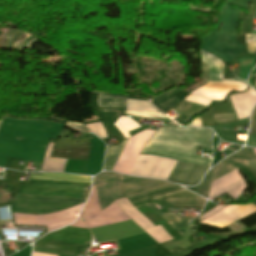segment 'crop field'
Instances as JSON below:
<instances>
[{"label": "crop field", "mask_w": 256, "mask_h": 256, "mask_svg": "<svg viewBox=\"0 0 256 256\" xmlns=\"http://www.w3.org/2000/svg\"><path fill=\"white\" fill-rule=\"evenodd\" d=\"M168 182L164 181H156V180H148V179H140L134 177H128L121 175V192L122 197H128L142 191L160 186ZM92 185H96L97 193L101 205V209H105L109 204L113 201L120 199V175L112 172H103L97 174L94 179ZM184 188L168 183L162 185L160 187L142 192L140 194L125 198L129 203L136 204L154 197L166 195L172 192H176L179 190H183ZM187 198H200L186 190L179 191L173 194H169L163 197L155 198L153 200H172V199H187ZM124 199H120L115 201L117 205L124 211V213L132 219L139 227H141L144 231L155 226L149 220H147L143 215H141L137 210H135L128 202ZM167 206L174 207H204L206 200L204 199H188V200H172L166 201ZM150 208H152L155 212H157L160 216H162L167 222L173 221L174 224L180 228L185 226L184 221L179 218L177 215L172 213H162L158 209L163 206H157L156 204H148ZM157 206V208L155 207ZM175 231L179 232L182 236L183 233L172 224V222L168 223Z\"/></svg>", "instance_id": "obj_1"}, {"label": "crop field", "mask_w": 256, "mask_h": 256, "mask_svg": "<svg viewBox=\"0 0 256 256\" xmlns=\"http://www.w3.org/2000/svg\"><path fill=\"white\" fill-rule=\"evenodd\" d=\"M213 131L209 129L160 127L145 144L141 154L168 157L184 162L210 165L196 156L197 147L211 148Z\"/></svg>", "instance_id": "obj_2"}, {"label": "crop field", "mask_w": 256, "mask_h": 256, "mask_svg": "<svg viewBox=\"0 0 256 256\" xmlns=\"http://www.w3.org/2000/svg\"><path fill=\"white\" fill-rule=\"evenodd\" d=\"M127 141L106 149L104 170H112ZM175 163L167 158L139 155L130 175L166 180ZM207 169V166L177 161L167 180L193 186L199 183Z\"/></svg>", "instance_id": "obj_3"}, {"label": "crop field", "mask_w": 256, "mask_h": 256, "mask_svg": "<svg viewBox=\"0 0 256 256\" xmlns=\"http://www.w3.org/2000/svg\"><path fill=\"white\" fill-rule=\"evenodd\" d=\"M88 229L66 227L46 234L34 243L33 251L59 256H77L75 245L90 246Z\"/></svg>", "instance_id": "obj_4"}, {"label": "crop field", "mask_w": 256, "mask_h": 256, "mask_svg": "<svg viewBox=\"0 0 256 256\" xmlns=\"http://www.w3.org/2000/svg\"><path fill=\"white\" fill-rule=\"evenodd\" d=\"M201 53L202 61L207 63L210 67V77L208 81H224L222 80V62L207 52L201 50ZM248 86L249 85L243 81L208 82V84L192 92L191 94L202 96L211 100H223L224 96L228 94L231 90L244 91Z\"/></svg>", "instance_id": "obj_5"}, {"label": "crop field", "mask_w": 256, "mask_h": 256, "mask_svg": "<svg viewBox=\"0 0 256 256\" xmlns=\"http://www.w3.org/2000/svg\"><path fill=\"white\" fill-rule=\"evenodd\" d=\"M239 167H249V166L246 161L227 160L221 163L219 167L215 168L213 179L218 178ZM243 182L245 181L240 175V173L238 172V170L230 172L219 179L213 180L211 191L209 194V199L213 200L216 197L226 193L227 191L239 186ZM246 187H247V184L245 182L239 187L228 192V194L235 200L246 189Z\"/></svg>", "instance_id": "obj_6"}, {"label": "crop field", "mask_w": 256, "mask_h": 256, "mask_svg": "<svg viewBox=\"0 0 256 256\" xmlns=\"http://www.w3.org/2000/svg\"><path fill=\"white\" fill-rule=\"evenodd\" d=\"M89 190L90 184L31 179L17 193L86 199Z\"/></svg>", "instance_id": "obj_7"}, {"label": "crop field", "mask_w": 256, "mask_h": 256, "mask_svg": "<svg viewBox=\"0 0 256 256\" xmlns=\"http://www.w3.org/2000/svg\"><path fill=\"white\" fill-rule=\"evenodd\" d=\"M81 202H85V200L17 194L13 203L72 206ZM65 208L67 207L13 204L12 212L47 214Z\"/></svg>", "instance_id": "obj_8"}, {"label": "crop field", "mask_w": 256, "mask_h": 256, "mask_svg": "<svg viewBox=\"0 0 256 256\" xmlns=\"http://www.w3.org/2000/svg\"><path fill=\"white\" fill-rule=\"evenodd\" d=\"M83 217L89 229L129 220L115 203L101 212L95 186L83 209Z\"/></svg>", "instance_id": "obj_9"}, {"label": "crop field", "mask_w": 256, "mask_h": 256, "mask_svg": "<svg viewBox=\"0 0 256 256\" xmlns=\"http://www.w3.org/2000/svg\"><path fill=\"white\" fill-rule=\"evenodd\" d=\"M83 204L62 210L58 213L45 216H35L13 213L14 221L18 225L47 226V230L53 231L72 223Z\"/></svg>", "instance_id": "obj_10"}, {"label": "crop field", "mask_w": 256, "mask_h": 256, "mask_svg": "<svg viewBox=\"0 0 256 256\" xmlns=\"http://www.w3.org/2000/svg\"><path fill=\"white\" fill-rule=\"evenodd\" d=\"M254 212H256V206L252 204L229 205L211 217L200 222V224H206L222 229Z\"/></svg>", "instance_id": "obj_11"}, {"label": "crop field", "mask_w": 256, "mask_h": 256, "mask_svg": "<svg viewBox=\"0 0 256 256\" xmlns=\"http://www.w3.org/2000/svg\"><path fill=\"white\" fill-rule=\"evenodd\" d=\"M235 113L238 119L246 118L256 102V93L253 89L249 88L247 92L241 94L231 95Z\"/></svg>", "instance_id": "obj_12"}, {"label": "crop field", "mask_w": 256, "mask_h": 256, "mask_svg": "<svg viewBox=\"0 0 256 256\" xmlns=\"http://www.w3.org/2000/svg\"><path fill=\"white\" fill-rule=\"evenodd\" d=\"M31 178L66 180V181H76V182H86V183H90L91 181V177L60 174V173H42V176L32 175Z\"/></svg>", "instance_id": "obj_13"}, {"label": "crop field", "mask_w": 256, "mask_h": 256, "mask_svg": "<svg viewBox=\"0 0 256 256\" xmlns=\"http://www.w3.org/2000/svg\"><path fill=\"white\" fill-rule=\"evenodd\" d=\"M53 144L49 143L44 164L41 171H61L63 172L66 160L49 158Z\"/></svg>", "instance_id": "obj_14"}, {"label": "crop field", "mask_w": 256, "mask_h": 256, "mask_svg": "<svg viewBox=\"0 0 256 256\" xmlns=\"http://www.w3.org/2000/svg\"><path fill=\"white\" fill-rule=\"evenodd\" d=\"M97 104L98 106L103 107H125L126 98L120 96L99 94Z\"/></svg>", "instance_id": "obj_15"}, {"label": "crop field", "mask_w": 256, "mask_h": 256, "mask_svg": "<svg viewBox=\"0 0 256 256\" xmlns=\"http://www.w3.org/2000/svg\"><path fill=\"white\" fill-rule=\"evenodd\" d=\"M180 91H182V90L177 88L153 103L155 104L156 107H158L159 109H161L165 112L166 110L175 106L180 101L176 97L173 96L174 94H176Z\"/></svg>", "instance_id": "obj_16"}, {"label": "crop field", "mask_w": 256, "mask_h": 256, "mask_svg": "<svg viewBox=\"0 0 256 256\" xmlns=\"http://www.w3.org/2000/svg\"><path fill=\"white\" fill-rule=\"evenodd\" d=\"M125 138H129L128 132L139 128V125L128 117H119L114 124Z\"/></svg>", "instance_id": "obj_17"}, {"label": "crop field", "mask_w": 256, "mask_h": 256, "mask_svg": "<svg viewBox=\"0 0 256 256\" xmlns=\"http://www.w3.org/2000/svg\"><path fill=\"white\" fill-rule=\"evenodd\" d=\"M126 110L157 111L149 102L127 99Z\"/></svg>", "instance_id": "obj_18"}, {"label": "crop field", "mask_w": 256, "mask_h": 256, "mask_svg": "<svg viewBox=\"0 0 256 256\" xmlns=\"http://www.w3.org/2000/svg\"><path fill=\"white\" fill-rule=\"evenodd\" d=\"M146 233L149 234L153 239H155L159 244L169 239H172V237H170L160 225L146 231Z\"/></svg>", "instance_id": "obj_19"}, {"label": "crop field", "mask_w": 256, "mask_h": 256, "mask_svg": "<svg viewBox=\"0 0 256 256\" xmlns=\"http://www.w3.org/2000/svg\"><path fill=\"white\" fill-rule=\"evenodd\" d=\"M229 158L242 159V160H249V159H253V158H256V157L254 156V153H253V151H252L250 148L244 147L242 150H240V151H238L237 153H235V154H233V155H231V156L225 158L223 161H225V160H227V159H229ZM223 161H221V162H223ZM221 162H220V163H221ZM220 163H219V164H220ZM216 166H217V165H216ZM216 166H215V167H216ZM215 167H214V168H215ZM214 168H212V170H213Z\"/></svg>", "instance_id": "obj_20"}, {"label": "crop field", "mask_w": 256, "mask_h": 256, "mask_svg": "<svg viewBox=\"0 0 256 256\" xmlns=\"http://www.w3.org/2000/svg\"><path fill=\"white\" fill-rule=\"evenodd\" d=\"M211 176H212V173H211V170H209L205 178L202 180V182L199 184V186L196 188L194 192L204 197H207Z\"/></svg>", "instance_id": "obj_21"}, {"label": "crop field", "mask_w": 256, "mask_h": 256, "mask_svg": "<svg viewBox=\"0 0 256 256\" xmlns=\"http://www.w3.org/2000/svg\"><path fill=\"white\" fill-rule=\"evenodd\" d=\"M155 247L156 246H153V247L145 248V249L130 252V253L120 254L117 256H154Z\"/></svg>", "instance_id": "obj_22"}, {"label": "crop field", "mask_w": 256, "mask_h": 256, "mask_svg": "<svg viewBox=\"0 0 256 256\" xmlns=\"http://www.w3.org/2000/svg\"><path fill=\"white\" fill-rule=\"evenodd\" d=\"M85 128L89 129L90 131H92L94 134H96L97 136L101 137V138H106V133L102 127L101 122L98 123H92V124H87L85 125Z\"/></svg>", "instance_id": "obj_23"}, {"label": "crop field", "mask_w": 256, "mask_h": 256, "mask_svg": "<svg viewBox=\"0 0 256 256\" xmlns=\"http://www.w3.org/2000/svg\"><path fill=\"white\" fill-rule=\"evenodd\" d=\"M125 113L140 116V117L167 118L164 115H162L160 113H155V112H130V111H126Z\"/></svg>", "instance_id": "obj_24"}, {"label": "crop field", "mask_w": 256, "mask_h": 256, "mask_svg": "<svg viewBox=\"0 0 256 256\" xmlns=\"http://www.w3.org/2000/svg\"><path fill=\"white\" fill-rule=\"evenodd\" d=\"M195 245V238L193 237V242L190 247H174L170 252L175 256H181L185 254L188 250H190Z\"/></svg>", "instance_id": "obj_25"}, {"label": "crop field", "mask_w": 256, "mask_h": 256, "mask_svg": "<svg viewBox=\"0 0 256 256\" xmlns=\"http://www.w3.org/2000/svg\"><path fill=\"white\" fill-rule=\"evenodd\" d=\"M184 100L186 101H190L193 103H197V104H201V105H205L208 106V104L211 102V100L205 99V98H198V97H194V96H187Z\"/></svg>", "instance_id": "obj_26"}, {"label": "crop field", "mask_w": 256, "mask_h": 256, "mask_svg": "<svg viewBox=\"0 0 256 256\" xmlns=\"http://www.w3.org/2000/svg\"><path fill=\"white\" fill-rule=\"evenodd\" d=\"M250 133L256 134V106L254 107L251 115V127L249 130Z\"/></svg>", "instance_id": "obj_27"}, {"label": "crop field", "mask_w": 256, "mask_h": 256, "mask_svg": "<svg viewBox=\"0 0 256 256\" xmlns=\"http://www.w3.org/2000/svg\"><path fill=\"white\" fill-rule=\"evenodd\" d=\"M66 126L72 128V129H74V130H77V131H79V132H81V133H83V134L88 133L87 130L84 129V127H83L82 125L77 124V123H71V122H68V121H67Z\"/></svg>", "instance_id": "obj_28"}, {"label": "crop field", "mask_w": 256, "mask_h": 256, "mask_svg": "<svg viewBox=\"0 0 256 256\" xmlns=\"http://www.w3.org/2000/svg\"><path fill=\"white\" fill-rule=\"evenodd\" d=\"M246 145L256 147V135H249Z\"/></svg>", "instance_id": "obj_29"}, {"label": "crop field", "mask_w": 256, "mask_h": 256, "mask_svg": "<svg viewBox=\"0 0 256 256\" xmlns=\"http://www.w3.org/2000/svg\"><path fill=\"white\" fill-rule=\"evenodd\" d=\"M223 207H225V206H218V207L208 211L207 213H205L204 215H202L200 217V220L207 218L208 216H210L211 214L217 212L218 210L222 209Z\"/></svg>", "instance_id": "obj_30"}, {"label": "crop field", "mask_w": 256, "mask_h": 256, "mask_svg": "<svg viewBox=\"0 0 256 256\" xmlns=\"http://www.w3.org/2000/svg\"><path fill=\"white\" fill-rule=\"evenodd\" d=\"M70 226L86 228V226H85V224L83 222V219H82V215H80L79 219L74 224H72Z\"/></svg>", "instance_id": "obj_31"}, {"label": "crop field", "mask_w": 256, "mask_h": 256, "mask_svg": "<svg viewBox=\"0 0 256 256\" xmlns=\"http://www.w3.org/2000/svg\"><path fill=\"white\" fill-rule=\"evenodd\" d=\"M186 126H191V127H201V124H200V119L199 117L196 118L192 123L186 125Z\"/></svg>", "instance_id": "obj_32"}, {"label": "crop field", "mask_w": 256, "mask_h": 256, "mask_svg": "<svg viewBox=\"0 0 256 256\" xmlns=\"http://www.w3.org/2000/svg\"><path fill=\"white\" fill-rule=\"evenodd\" d=\"M249 166L256 169V159L247 161Z\"/></svg>", "instance_id": "obj_33"}, {"label": "crop field", "mask_w": 256, "mask_h": 256, "mask_svg": "<svg viewBox=\"0 0 256 256\" xmlns=\"http://www.w3.org/2000/svg\"><path fill=\"white\" fill-rule=\"evenodd\" d=\"M32 256H55V255H49V254H42V253L33 252Z\"/></svg>", "instance_id": "obj_34"}, {"label": "crop field", "mask_w": 256, "mask_h": 256, "mask_svg": "<svg viewBox=\"0 0 256 256\" xmlns=\"http://www.w3.org/2000/svg\"><path fill=\"white\" fill-rule=\"evenodd\" d=\"M177 88V87H176ZM175 89V88H174ZM173 90V89H172ZM171 91V90H170ZM170 91H168V92H170ZM168 92H166V93H168ZM166 93H164V94H162V95H160V96H158V97H155L152 101H154V100H156V99H158L159 97H161V96H163V95H165ZM151 101V102H152Z\"/></svg>", "instance_id": "obj_35"}, {"label": "crop field", "mask_w": 256, "mask_h": 256, "mask_svg": "<svg viewBox=\"0 0 256 256\" xmlns=\"http://www.w3.org/2000/svg\"><path fill=\"white\" fill-rule=\"evenodd\" d=\"M19 228H31V227H19ZM32 229H44V228H32Z\"/></svg>", "instance_id": "obj_36"}, {"label": "crop field", "mask_w": 256, "mask_h": 256, "mask_svg": "<svg viewBox=\"0 0 256 256\" xmlns=\"http://www.w3.org/2000/svg\"><path fill=\"white\" fill-rule=\"evenodd\" d=\"M252 88H254L256 90V83L254 84V86Z\"/></svg>", "instance_id": "obj_37"}, {"label": "crop field", "mask_w": 256, "mask_h": 256, "mask_svg": "<svg viewBox=\"0 0 256 256\" xmlns=\"http://www.w3.org/2000/svg\"><path fill=\"white\" fill-rule=\"evenodd\" d=\"M10 208V207H9ZM10 215H11V212H10ZM11 218H12V215H11Z\"/></svg>", "instance_id": "obj_38"}, {"label": "crop field", "mask_w": 256, "mask_h": 256, "mask_svg": "<svg viewBox=\"0 0 256 256\" xmlns=\"http://www.w3.org/2000/svg\"><path fill=\"white\" fill-rule=\"evenodd\" d=\"M1 122H2V121H0V125H1Z\"/></svg>", "instance_id": "obj_39"}, {"label": "crop field", "mask_w": 256, "mask_h": 256, "mask_svg": "<svg viewBox=\"0 0 256 256\" xmlns=\"http://www.w3.org/2000/svg\"><path fill=\"white\" fill-rule=\"evenodd\" d=\"M2 229H4V228H2Z\"/></svg>", "instance_id": "obj_40"}, {"label": "crop field", "mask_w": 256, "mask_h": 256, "mask_svg": "<svg viewBox=\"0 0 256 256\" xmlns=\"http://www.w3.org/2000/svg\"><path fill=\"white\" fill-rule=\"evenodd\" d=\"M229 150V149H228Z\"/></svg>", "instance_id": "obj_41"}]
</instances>
